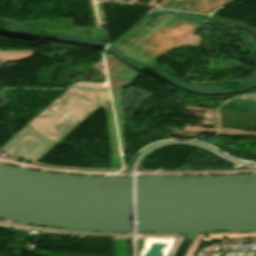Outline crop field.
<instances>
[{
	"instance_id": "1",
	"label": "crop field",
	"mask_w": 256,
	"mask_h": 256,
	"mask_svg": "<svg viewBox=\"0 0 256 256\" xmlns=\"http://www.w3.org/2000/svg\"><path fill=\"white\" fill-rule=\"evenodd\" d=\"M109 98L106 83L74 84L3 144L0 152L35 161Z\"/></svg>"
}]
</instances>
